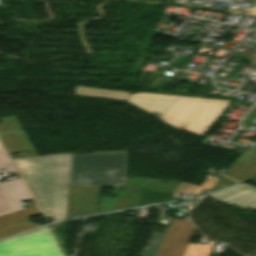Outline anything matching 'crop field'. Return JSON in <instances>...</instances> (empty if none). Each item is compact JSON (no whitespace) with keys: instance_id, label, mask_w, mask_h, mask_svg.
<instances>
[{"instance_id":"crop-field-1","label":"crop field","mask_w":256,"mask_h":256,"mask_svg":"<svg viewBox=\"0 0 256 256\" xmlns=\"http://www.w3.org/2000/svg\"><path fill=\"white\" fill-rule=\"evenodd\" d=\"M40 209L55 221L66 218L70 154L13 160Z\"/></svg>"},{"instance_id":"crop-field-2","label":"crop field","mask_w":256,"mask_h":256,"mask_svg":"<svg viewBox=\"0 0 256 256\" xmlns=\"http://www.w3.org/2000/svg\"><path fill=\"white\" fill-rule=\"evenodd\" d=\"M231 101L139 93L131 95L129 103L150 112L160 113L166 123L202 136L208 127L224 111ZM231 104V103H230Z\"/></svg>"},{"instance_id":"crop-field-3","label":"crop field","mask_w":256,"mask_h":256,"mask_svg":"<svg viewBox=\"0 0 256 256\" xmlns=\"http://www.w3.org/2000/svg\"><path fill=\"white\" fill-rule=\"evenodd\" d=\"M127 152L71 155L69 185L117 188L124 185Z\"/></svg>"},{"instance_id":"crop-field-4","label":"crop field","mask_w":256,"mask_h":256,"mask_svg":"<svg viewBox=\"0 0 256 256\" xmlns=\"http://www.w3.org/2000/svg\"><path fill=\"white\" fill-rule=\"evenodd\" d=\"M0 256H64L49 228L37 229L0 242Z\"/></svg>"},{"instance_id":"crop-field-5","label":"crop field","mask_w":256,"mask_h":256,"mask_svg":"<svg viewBox=\"0 0 256 256\" xmlns=\"http://www.w3.org/2000/svg\"><path fill=\"white\" fill-rule=\"evenodd\" d=\"M16 172L5 150L0 144V168ZM31 199L21 179L0 183V214L22 209L20 201Z\"/></svg>"},{"instance_id":"crop-field-6","label":"crop field","mask_w":256,"mask_h":256,"mask_svg":"<svg viewBox=\"0 0 256 256\" xmlns=\"http://www.w3.org/2000/svg\"><path fill=\"white\" fill-rule=\"evenodd\" d=\"M195 230L187 219L174 217L156 256H183Z\"/></svg>"},{"instance_id":"crop-field-7","label":"crop field","mask_w":256,"mask_h":256,"mask_svg":"<svg viewBox=\"0 0 256 256\" xmlns=\"http://www.w3.org/2000/svg\"><path fill=\"white\" fill-rule=\"evenodd\" d=\"M100 188L69 186L67 218L97 211Z\"/></svg>"},{"instance_id":"crop-field-8","label":"crop field","mask_w":256,"mask_h":256,"mask_svg":"<svg viewBox=\"0 0 256 256\" xmlns=\"http://www.w3.org/2000/svg\"><path fill=\"white\" fill-rule=\"evenodd\" d=\"M40 214L36 206L0 215V239L40 226L30 222V217Z\"/></svg>"},{"instance_id":"crop-field-9","label":"crop field","mask_w":256,"mask_h":256,"mask_svg":"<svg viewBox=\"0 0 256 256\" xmlns=\"http://www.w3.org/2000/svg\"><path fill=\"white\" fill-rule=\"evenodd\" d=\"M209 196L242 210L256 209V189L244 184Z\"/></svg>"},{"instance_id":"crop-field-10","label":"crop field","mask_w":256,"mask_h":256,"mask_svg":"<svg viewBox=\"0 0 256 256\" xmlns=\"http://www.w3.org/2000/svg\"><path fill=\"white\" fill-rule=\"evenodd\" d=\"M225 176L237 181L256 177V150L246 148Z\"/></svg>"},{"instance_id":"crop-field-11","label":"crop field","mask_w":256,"mask_h":256,"mask_svg":"<svg viewBox=\"0 0 256 256\" xmlns=\"http://www.w3.org/2000/svg\"><path fill=\"white\" fill-rule=\"evenodd\" d=\"M0 138L9 154L31 151L38 156L23 129L0 133Z\"/></svg>"},{"instance_id":"crop-field-12","label":"crop field","mask_w":256,"mask_h":256,"mask_svg":"<svg viewBox=\"0 0 256 256\" xmlns=\"http://www.w3.org/2000/svg\"><path fill=\"white\" fill-rule=\"evenodd\" d=\"M124 193L122 189H115L113 194L119 195L115 199L100 197L99 213L137 206L139 194H131L130 198H127Z\"/></svg>"},{"instance_id":"crop-field-13","label":"crop field","mask_w":256,"mask_h":256,"mask_svg":"<svg viewBox=\"0 0 256 256\" xmlns=\"http://www.w3.org/2000/svg\"><path fill=\"white\" fill-rule=\"evenodd\" d=\"M75 94L127 101L130 93L89 87H75Z\"/></svg>"},{"instance_id":"crop-field-14","label":"crop field","mask_w":256,"mask_h":256,"mask_svg":"<svg viewBox=\"0 0 256 256\" xmlns=\"http://www.w3.org/2000/svg\"><path fill=\"white\" fill-rule=\"evenodd\" d=\"M218 179L215 176L208 177L200 187L181 182L173 192L199 194L203 188L210 190Z\"/></svg>"},{"instance_id":"crop-field-15","label":"crop field","mask_w":256,"mask_h":256,"mask_svg":"<svg viewBox=\"0 0 256 256\" xmlns=\"http://www.w3.org/2000/svg\"><path fill=\"white\" fill-rule=\"evenodd\" d=\"M204 237L202 236L198 245L190 244L184 256H209L216 241L208 246L201 245Z\"/></svg>"},{"instance_id":"crop-field-16","label":"crop field","mask_w":256,"mask_h":256,"mask_svg":"<svg viewBox=\"0 0 256 256\" xmlns=\"http://www.w3.org/2000/svg\"><path fill=\"white\" fill-rule=\"evenodd\" d=\"M21 126L16 116L0 118V132L20 129Z\"/></svg>"},{"instance_id":"crop-field-17","label":"crop field","mask_w":256,"mask_h":256,"mask_svg":"<svg viewBox=\"0 0 256 256\" xmlns=\"http://www.w3.org/2000/svg\"><path fill=\"white\" fill-rule=\"evenodd\" d=\"M163 238H164L163 234L155 233L151 240V243L146 251L145 256H155Z\"/></svg>"},{"instance_id":"crop-field-18","label":"crop field","mask_w":256,"mask_h":256,"mask_svg":"<svg viewBox=\"0 0 256 256\" xmlns=\"http://www.w3.org/2000/svg\"><path fill=\"white\" fill-rule=\"evenodd\" d=\"M237 182H234L232 180H229L225 177H221L219 179V181L214 185V187L212 188L213 191H216V190H219L221 188H224V187H227V186H230V185H233V184H236Z\"/></svg>"}]
</instances>
